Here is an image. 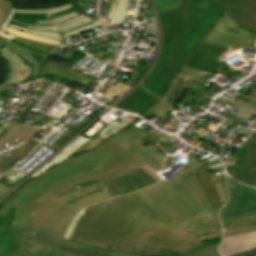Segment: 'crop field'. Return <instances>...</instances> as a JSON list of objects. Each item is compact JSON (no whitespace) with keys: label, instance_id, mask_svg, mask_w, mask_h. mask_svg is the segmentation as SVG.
Masks as SVG:
<instances>
[{"label":"crop field","instance_id":"1","mask_svg":"<svg viewBox=\"0 0 256 256\" xmlns=\"http://www.w3.org/2000/svg\"><path fill=\"white\" fill-rule=\"evenodd\" d=\"M119 145L110 138L95 150L73 157L24 184L4 204L0 215L13 206L16 210L11 225L32 230L35 210L48 195L57 198L76 185L95 180L103 183L145 166Z\"/></svg>","mask_w":256,"mask_h":256},{"label":"crop field","instance_id":"2","mask_svg":"<svg viewBox=\"0 0 256 256\" xmlns=\"http://www.w3.org/2000/svg\"><path fill=\"white\" fill-rule=\"evenodd\" d=\"M161 220L136 193L90 207L77 223L71 241L123 254H133L142 230Z\"/></svg>","mask_w":256,"mask_h":256},{"label":"crop field","instance_id":"3","mask_svg":"<svg viewBox=\"0 0 256 256\" xmlns=\"http://www.w3.org/2000/svg\"><path fill=\"white\" fill-rule=\"evenodd\" d=\"M220 208L147 227L140 234L134 254L172 256L204 245L201 241L222 237Z\"/></svg>","mask_w":256,"mask_h":256},{"label":"crop field","instance_id":"4","mask_svg":"<svg viewBox=\"0 0 256 256\" xmlns=\"http://www.w3.org/2000/svg\"><path fill=\"white\" fill-rule=\"evenodd\" d=\"M181 171L169 183L164 180L137 191L162 221L212 209L195 178L196 169L189 165Z\"/></svg>","mask_w":256,"mask_h":256},{"label":"crop field","instance_id":"5","mask_svg":"<svg viewBox=\"0 0 256 256\" xmlns=\"http://www.w3.org/2000/svg\"><path fill=\"white\" fill-rule=\"evenodd\" d=\"M157 14L163 32L161 53L155 69L142 84L160 98L177 71L201 41L183 31V22L177 9Z\"/></svg>","mask_w":256,"mask_h":256},{"label":"crop field","instance_id":"6","mask_svg":"<svg viewBox=\"0 0 256 256\" xmlns=\"http://www.w3.org/2000/svg\"><path fill=\"white\" fill-rule=\"evenodd\" d=\"M237 25L223 12V15L216 21L184 66L211 74H214L216 69L231 73L240 72L238 69H232L227 64L221 63L216 58L233 48L256 51V49L250 48L254 39L241 37L242 34L239 33L225 32L226 27Z\"/></svg>","mask_w":256,"mask_h":256},{"label":"crop field","instance_id":"7","mask_svg":"<svg viewBox=\"0 0 256 256\" xmlns=\"http://www.w3.org/2000/svg\"><path fill=\"white\" fill-rule=\"evenodd\" d=\"M71 7L72 5L68 4L63 7L49 10H15L12 8L8 18L3 22L0 29L4 30V28L8 26L20 31L36 34L46 38L56 39L58 41H63L67 36L99 26L98 21H94L84 15H79L77 12H73L63 17L54 18L47 22H36V25L21 24L17 21L11 20L14 13H47V18H49V15H52L58 11L67 10Z\"/></svg>","mask_w":256,"mask_h":256},{"label":"crop field","instance_id":"8","mask_svg":"<svg viewBox=\"0 0 256 256\" xmlns=\"http://www.w3.org/2000/svg\"><path fill=\"white\" fill-rule=\"evenodd\" d=\"M229 200L220 213L223 229L256 223V190L239 184L226 176Z\"/></svg>","mask_w":256,"mask_h":256},{"label":"crop field","instance_id":"9","mask_svg":"<svg viewBox=\"0 0 256 256\" xmlns=\"http://www.w3.org/2000/svg\"><path fill=\"white\" fill-rule=\"evenodd\" d=\"M80 209L73 204L67 206L50 195L40 204L35 213L33 230L62 238L72 217Z\"/></svg>","mask_w":256,"mask_h":256},{"label":"crop field","instance_id":"10","mask_svg":"<svg viewBox=\"0 0 256 256\" xmlns=\"http://www.w3.org/2000/svg\"><path fill=\"white\" fill-rule=\"evenodd\" d=\"M33 54L35 53L12 43L1 50L0 56L7 61L8 70L6 78L0 87L10 83H22L29 75L36 76L38 73V62L35 56H32ZM39 56L47 57V55L43 54Z\"/></svg>","mask_w":256,"mask_h":256},{"label":"crop field","instance_id":"11","mask_svg":"<svg viewBox=\"0 0 256 256\" xmlns=\"http://www.w3.org/2000/svg\"><path fill=\"white\" fill-rule=\"evenodd\" d=\"M136 117H133L135 119ZM131 120V121H132ZM126 120L114 119L110 124H108L103 130H101L95 137L91 140L79 136L77 137L71 144H69L65 149H63L55 158L51 159L45 166H43L39 171H37L34 176L39 175L40 173L50 169L60 161L66 159L69 156L78 154L87 149H92L106 138H108L111 134H113L116 130L120 129L125 124L131 122Z\"/></svg>","mask_w":256,"mask_h":256},{"label":"crop field","instance_id":"12","mask_svg":"<svg viewBox=\"0 0 256 256\" xmlns=\"http://www.w3.org/2000/svg\"><path fill=\"white\" fill-rule=\"evenodd\" d=\"M14 210L0 216V254L19 256L34 231L10 226Z\"/></svg>","mask_w":256,"mask_h":256},{"label":"crop field","instance_id":"13","mask_svg":"<svg viewBox=\"0 0 256 256\" xmlns=\"http://www.w3.org/2000/svg\"><path fill=\"white\" fill-rule=\"evenodd\" d=\"M210 7L204 18L203 24L200 26L196 33H192L201 23L203 10H193L187 5L178 6V11L184 22V31L193 35L197 39L201 40L204 38L206 33L210 30L214 22L222 15L221 10L215 5L213 0H208Z\"/></svg>","mask_w":256,"mask_h":256},{"label":"crop field","instance_id":"14","mask_svg":"<svg viewBox=\"0 0 256 256\" xmlns=\"http://www.w3.org/2000/svg\"><path fill=\"white\" fill-rule=\"evenodd\" d=\"M159 179L162 178L146 166L130 174L103 183V185L112 197H115L158 182L160 181Z\"/></svg>","mask_w":256,"mask_h":256},{"label":"crop field","instance_id":"15","mask_svg":"<svg viewBox=\"0 0 256 256\" xmlns=\"http://www.w3.org/2000/svg\"><path fill=\"white\" fill-rule=\"evenodd\" d=\"M140 120L141 119H138L135 122L131 123L130 125H128L124 129L119 131L117 134H115L111 138H113L114 140H116L118 143L121 144L119 147L132 153L134 156H136L138 159L144 162L151 169H153L154 171H157L161 169L163 166L127 141L131 139L144 137L147 135L146 132L149 131L151 128H153L149 125L142 130L139 127L138 128L134 127L133 125L139 122Z\"/></svg>","mask_w":256,"mask_h":256},{"label":"crop field","instance_id":"16","mask_svg":"<svg viewBox=\"0 0 256 256\" xmlns=\"http://www.w3.org/2000/svg\"><path fill=\"white\" fill-rule=\"evenodd\" d=\"M32 240L40 241L45 244L52 245L54 247H58L61 249H65L71 252H75L81 255L85 256H142L140 255H122V254H117V253H111V252H106L86 246H82L79 244H76L71 241H67L64 239H60L48 234L40 233L35 231L33 237L31 238Z\"/></svg>","mask_w":256,"mask_h":256},{"label":"crop field","instance_id":"17","mask_svg":"<svg viewBox=\"0 0 256 256\" xmlns=\"http://www.w3.org/2000/svg\"><path fill=\"white\" fill-rule=\"evenodd\" d=\"M158 100L157 97L144 90L141 84L132 91L125 99L118 103L116 108L123 109L141 115L145 110ZM129 108V109H128Z\"/></svg>","mask_w":256,"mask_h":256},{"label":"crop field","instance_id":"18","mask_svg":"<svg viewBox=\"0 0 256 256\" xmlns=\"http://www.w3.org/2000/svg\"><path fill=\"white\" fill-rule=\"evenodd\" d=\"M206 75V73L183 66L160 99L166 102L180 84L190 89L196 88Z\"/></svg>","mask_w":256,"mask_h":256},{"label":"crop field","instance_id":"19","mask_svg":"<svg viewBox=\"0 0 256 256\" xmlns=\"http://www.w3.org/2000/svg\"><path fill=\"white\" fill-rule=\"evenodd\" d=\"M255 246L256 231L243 235L223 238L219 246V252L222 256H229L232 254L246 251Z\"/></svg>","mask_w":256,"mask_h":256},{"label":"crop field","instance_id":"20","mask_svg":"<svg viewBox=\"0 0 256 256\" xmlns=\"http://www.w3.org/2000/svg\"><path fill=\"white\" fill-rule=\"evenodd\" d=\"M168 137L166 134H162V136L157 139L150 134L144 138L131 140L130 142L137 146L139 149L144 151L146 154L154 158L160 164L164 165L165 155L167 150L162 148L161 146L168 141ZM153 149H156L155 151Z\"/></svg>","mask_w":256,"mask_h":256},{"label":"crop field","instance_id":"21","mask_svg":"<svg viewBox=\"0 0 256 256\" xmlns=\"http://www.w3.org/2000/svg\"><path fill=\"white\" fill-rule=\"evenodd\" d=\"M38 130V128L25 125H14L0 138V146H3L17 138L26 143Z\"/></svg>","mask_w":256,"mask_h":256},{"label":"crop field","instance_id":"22","mask_svg":"<svg viewBox=\"0 0 256 256\" xmlns=\"http://www.w3.org/2000/svg\"><path fill=\"white\" fill-rule=\"evenodd\" d=\"M231 177L256 187V153L234 172Z\"/></svg>","mask_w":256,"mask_h":256},{"label":"crop field","instance_id":"23","mask_svg":"<svg viewBox=\"0 0 256 256\" xmlns=\"http://www.w3.org/2000/svg\"><path fill=\"white\" fill-rule=\"evenodd\" d=\"M197 172H198V175L196 178L200 182L207 198L209 199V201L211 202V204L213 205L214 208L219 206L220 203L218 200V195L216 193L214 184H213L208 172L206 171L204 166L197 169Z\"/></svg>","mask_w":256,"mask_h":256},{"label":"crop field","instance_id":"24","mask_svg":"<svg viewBox=\"0 0 256 256\" xmlns=\"http://www.w3.org/2000/svg\"><path fill=\"white\" fill-rule=\"evenodd\" d=\"M256 152V135L252 134L242 146L235 152V154L243 157L244 159L235 165L231 170L228 171L231 175L236 171L242 164H244L254 153Z\"/></svg>","mask_w":256,"mask_h":256},{"label":"crop field","instance_id":"25","mask_svg":"<svg viewBox=\"0 0 256 256\" xmlns=\"http://www.w3.org/2000/svg\"><path fill=\"white\" fill-rule=\"evenodd\" d=\"M128 0H112V7L109 11L107 18H110V22L104 24V26L115 25L123 23L127 10Z\"/></svg>","mask_w":256,"mask_h":256},{"label":"crop field","instance_id":"26","mask_svg":"<svg viewBox=\"0 0 256 256\" xmlns=\"http://www.w3.org/2000/svg\"><path fill=\"white\" fill-rule=\"evenodd\" d=\"M37 142L32 141L31 139L23 146V148L19 149L15 154L3 159L0 161V169L7 171L12 168L14 165L11 163L16 159L22 160L24 159L37 145Z\"/></svg>","mask_w":256,"mask_h":256},{"label":"crop field","instance_id":"27","mask_svg":"<svg viewBox=\"0 0 256 256\" xmlns=\"http://www.w3.org/2000/svg\"><path fill=\"white\" fill-rule=\"evenodd\" d=\"M103 189H105V188L103 187L102 184L96 183V184L88 185V186L81 187V188L75 189L73 191H70L57 199H59L60 201H62L63 203L66 204L68 202L77 200L83 196H86L92 192L103 190Z\"/></svg>","mask_w":256,"mask_h":256},{"label":"crop field","instance_id":"28","mask_svg":"<svg viewBox=\"0 0 256 256\" xmlns=\"http://www.w3.org/2000/svg\"><path fill=\"white\" fill-rule=\"evenodd\" d=\"M246 1L247 0H218L222 9H224L235 20L245 18L244 4Z\"/></svg>","mask_w":256,"mask_h":256},{"label":"crop field","instance_id":"29","mask_svg":"<svg viewBox=\"0 0 256 256\" xmlns=\"http://www.w3.org/2000/svg\"><path fill=\"white\" fill-rule=\"evenodd\" d=\"M245 14L247 18L238 22L256 33V0H248L245 5Z\"/></svg>","mask_w":256,"mask_h":256},{"label":"crop field","instance_id":"30","mask_svg":"<svg viewBox=\"0 0 256 256\" xmlns=\"http://www.w3.org/2000/svg\"><path fill=\"white\" fill-rule=\"evenodd\" d=\"M110 194L108 193L107 190H103V191H99V192H95L92 193L86 197H83L75 202H73L74 204L80 206V207H88L96 202L105 200L107 198H110ZM70 204V203H69ZM68 205V204H67Z\"/></svg>","mask_w":256,"mask_h":256},{"label":"crop field","instance_id":"31","mask_svg":"<svg viewBox=\"0 0 256 256\" xmlns=\"http://www.w3.org/2000/svg\"><path fill=\"white\" fill-rule=\"evenodd\" d=\"M248 105L249 103L238 100V102L232 107V109L236 110L234 114L253 121L254 119H252L251 117L253 116L252 114L256 111V108L250 107Z\"/></svg>","mask_w":256,"mask_h":256},{"label":"crop field","instance_id":"32","mask_svg":"<svg viewBox=\"0 0 256 256\" xmlns=\"http://www.w3.org/2000/svg\"><path fill=\"white\" fill-rule=\"evenodd\" d=\"M14 41L40 52L50 54L56 47L15 37Z\"/></svg>","mask_w":256,"mask_h":256},{"label":"crop field","instance_id":"33","mask_svg":"<svg viewBox=\"0 0 256 256\" xmlns=\"http://www.w3.org/2000/svg\"><path fill=\"white\" fill-rule=\"evenodd\" d=\"M217 245L216 244H209V245H204L202 247H198L196 249L178 254L176 256H201V255H205L211 252H216L217 251Z\"/></svg>","mask_w":256,"mask_h":256},{"label":"crop field","instance_id":"34","mask_svg":"<svg viewBox=\"0 0 256 256\" xmlns=\"http://www.w3.org/2000/svg\"><path fill=\"white\" fill-rule=\"evenodd\" d=\"M4 31L15 34V35H18V36L26 37V38H29V39H33V40H36V41L49 43V44H53V45H59L60 43H62V42H58L56 40L46 39V38H43V37H38V36H35V35L20 32V31H17L15 29L8 28V27H6V29Z\"/></svg>","mask_w":256,"mask_h":256},{"label":"crop field","instance_id":"35","mask_svg":"<svg viewBox=\"0 0 256 256\" xmlns=\"http://www.w3.org/2000/svg\"><path fill=\"white\" fill-rule=\"evenodd\" d=\"M43 246V243L29 240L20 256H37Z\"/></svg>","mask_w":256,"mask_h":256},{"label":"crop field","instance_id":"36","mask_svg":"<svg viewBox=\"0 0 256 256\" xmlns=\"http://www.w3.org/2000/svg\"><path fill=\"white\" fill-rule=\"evenodd\" d=\"M156 11H164L175 9L176 6L181 5V0H154Z\"/></svg>","mask_w":256,"mask_h":256},{"label":"crop field","instance_id":"37","mask_svg":"<svg viewBox=\"0 0 256 256\" xmlns=\"http://www.w3.org/2000/svg\"><path fill=\"white\" fill-rule=\"evenodd\" d=\"M129 89L130 87L119 82L115 87L111 85L102 97L112 99L114 95L121 96Z\"/></svg>","mask_w":256,"mask_h":256},{"label":"crop field","instance_id":"38","mask_svg":"<svg viewBox=\"0 0 256 256\" xmlns=\"http://www.w3.org/2000/svg\"><path fill=\"white\" fill-rule=\"evenodd\" d=\"M88 209V208H87ZM87 209H81L72 219L65 235H64V239H70L75 227H76V222L79 220V218L86 212Z\"/></svg>","mask_w":256,"mask_h":256},{"label":"crop field","instance_id":"39","mask_svg":"<svg viewBox=\"0 0 256 256\" xmlns=\"http://www.w3.org/2000/svg\"><path fill=\"white\" fill-rule=\"evenodd\" d=\"M12 2L0 0V26L8 16L11 9Z\"/></svg>","mask_w":256,"mask_h":256},{"label":"crop field","instance_id":"40","mask_svg":"<svg viewBox=\"0 0 256 256\" xmlns=\"http://www.w3.org/2000/svg\"><path fill=\"white\" fill-rule=\"evenodd\" d=\"M256 230V224L251 225L249 227H244V228H238V229H232V230H227L224 231V236H231V235H237V234H242V233H247V232H251V231H255Z\"/></svg>","mask_w":256,"mask_h":256},{"label":"crop field","instance_id":"41","mask_svg":"<svg viewBox=\"0 0 256 256\" xmlns=\"http://www.w3.org/2000/svg\"><path fill=\"white\" fill-rule=\"evenodd\" d=\"M215 188L219 195V200L221 202V205H224L226 202V199H227V192H226L225 184L224 183L215 184Z\"/></svg>","mask_w":256,"mask_h":256},{"label":"crop field","instance_id":"42","mask_svg":"<svg viewBox=\"0 0 256 256\" xmlns=\"http://www.w3.org/2000/svg\"><path fill=\"white\" fill-rule=\"evenodd\" d=\"M226 31L244 33L243 36H245V37L256 38V35L254 33L250 32L249 30H247L241 26L230 27V28H227Z\"/></svg>","mask_w":256,"mask_h":256},{"label":"crop field","instance_id":"43","mask_svg":"<svg viewBox=\"0 0 256 256\" xmlns=\"http://www.w3.org/2000/svg\"><path fill=\"white\" fill-rule=\"evenodd\" d=\"M60 253H62V254H60ZM51 256H78V254L55 248V250L51 254Z\"/></svg>","mask_w":256,"mask_h":256},{"label":"crop field","instance_id":"44","mask_svg":"<svg viewBox=\"0 0 256 256\" xmlns=\"http://www.w3.org/2000/svg\"><path fill=\"white\" fill-rule=\"evenodd\" d=\"M54 250V247H51L49 245H45V247L40 252L39 256H49L52 251Z\"/></svg>","mask_w":256,"mask_h":256},{"label":"crop field","instance_id":"45","mask_svg":"<svg viewBox=\"0 0 256 256\" xmlns=\"http://www.w3.org/2000/svg\"><path fill=\"white\" fill-rule=\"evenodd\" d=\"M193 159L188 161L190 165H192L193 167H195L196 169L205 165L203 164L201 161H199L197 158L192 157Z\"/></svg>","mask_w":256,"mask_h":256},{"label":"crop field","instance_id":"46","mask_svg":"<svg viewBox=\"0 0 256 256\" xmlns=\"http://www.w3.org/2000/svg\"><path fill=\"white\" fill-rule=\"evenodd\" d=\"M245 98L251 100V101H255L256 102V89H252L246 96Z\"/></svg>","mask_w":256,"mask_h":256},{"label":"crop field","instance_id":"47","mask_svg":"<svg viewBox=\"0 0 256 256\" xmlns=\"http://www.w3.org/2000/svg\"><path fill=\"white\" fill-rule=\"evenodd\" d=\"M253 254H256V247L251 249V250H248L246 252L239 253V254L232 255V256H250V255H253Z\"/></svg>","mask_w":256,"mask_h":256},{"label":"crop field","instance_id":"48","mask_svg":"<svg viewBox=\"0 0 256 256\" xmlns=\"http://www.w3.org/2000/svg\"><path fill=\"white\" fill-rule=\"evenodd\" d=\"M187 128V127H186ZM189 129V128H188ZM190 130H192V129H190ZM192 131H194V132H196L197 133V135H199L200 137H205V136H207L208 134H209V132H207L206 130H204V129H202V128H200V129H198L197 131H195V130H192Z\"/></svg>","mask_w":256,"mask_h":256},{"label":"crop field","instance_id":"49","mask_svg":"<svg viewBox=\"0 0 256 256\" xmlns=\"http://www.w3.org/2000/svg\"><path fill=\"white\" fill-rule=\"evenodd\" d=\"M215 102H218V103H220V104H222V105H224V106L229 103V101L224 100V99H222V98H220V97H218V98L215 100Z\"/></svg>","mask_w":256,"mask_h":256},{"label":"crop field","instance_id":"50","mask_svg":"<svg viewBox=\"0 0 256 256\" xmlns=\"http://www.w3.org/2000/svg\"><path fill=\"white\" fill-rule=\"evenodd\" d=\"M207 83H208L207 81L203 80V81L201 82V84H200L197 88H199V89H201V90L204 91L205 88L207 87V86H205Z\"/></svg>","mask_w":256,"mask_h":256},{"label":"crop field","instance_id":"51","mask_svg":"<svg viewBox=\"0 0 256 256\" xmlns=\"http://www.w3.org/2000/svg\"><path fill=\"white\" fill-rule=\"evenodd\" d=\"M0 36L5 37V38H8V39H10V40H12V38H13V36L8 35V34H5V33H3V32H0Z\"/></svg>","mask_w":256,"mask_h":256},{"label":"crop field","instance_id":"52","mask_svg":"<svg viewBox=\"0 0 256 256\" xmlns=\"http://www.w3.org/2000/svg\"><path fill=\"white\" fill-rule=\"evenodd\" d=\"M0 42L3 43L4 45H6L7 43L10 42V40L0 37Z\"/></svg>","mask_w":256,"mask_h":256},{"label":"crop field","instance_id":"53","mask_svg":"<svg viewBox=\"0 0 256 256\" xmlns=\"http://www.w3.org/2000/svg\"><path fill=\"white\" fill-rule=\"evenodd\" d=\"M205 256H220V255L218 254V252H216V253H211V254H208V255H205Z\"/></svg>","mask_w":256,"mask_h":256},{"label":"crop field","instance_id":"54","mask_svg":"<svg viewBox=\"0 0 256 256\" xmlns=\"http://www.w3.org/2000/svg\"><path fill=\"white\" fill-rule=\"evenodd\" d=\"M245 101H247V102L251 103V104H250V106H254V107H256V103H255V102H251V101H248V100H246V99H245Z\"/></svg>","mask_w":256,"mask_h":256},{"label":"crop field","instance_id":"55","mask_svg":"<svg viewBox=\"0 0 256 256\" xmlns=\"http://www.w3.org/2000/svg\"><path fill=\"white\" fill-rule=\"evenodd\" d=\"M5 126H7V125H2V126L0 127V133L3 132V129H4Z\"/></svg>","mask_w":256,"mask_h":256},{"label":"crop field","instance_id":"56","mask_svg":"<svg viewBox=\"0 0 256 256\" xmlns=\"http://www.w3.org/2000/svg\"><path fill=\"white\" fill-rule=\"evenodd\" d=\"M170 164H172V162H170L169 160H167L165 167L168 166V165H170Z\"/></svg>","mask_w":256,"mask_h":256},{"label":"crop field","instance_id":"57","mask_svg":"<svg viewBox=\"0 0 256 256\" xmlns=\"http://www.w3.org/2000/svg\"><path fill=\"white\" fill-rule=\"evenodd\" d=\"M190 6V5H189ZM192 7V6H191ZM192 8H194V7H192ZM194 9H205V8H194Z\"/></svg>","mask_w":256,"mask_h":256},{"label":"crop field","instance_id":"58","mask_svg":"<svg viewBox=\"0 0 256 256\" xmlns=\"http://www.w3.org/2000/svg\"><path fill=\"white\" fill-rule=\"evenodd\" d=\"M248 57H250V58H254V57H252V56H248Z\"/></svg>","mask_w":256,"mask_h":256},{"label":"crop field","instance_id":"59","mask_svg":"<svg viewBox=\"0 0 256 256\" xmlns=\"http://www.w3.org/2000/svg\"><path fill=\"white\" fill-rule=\"evenodd\" d=\"M209 5L207 6V9H208ZM207 11V10H206Z\"/></svg>","mask_w":256,"mask_h":256},{"label":"crop field","instance_id":"60","mask_svg":"<svg viewBox=\"0 0 256 256\" xmlns=\"http://www.w3.org/2000/svg\"><path fill=\"white\" fill-rule=\"evenodd\" d=\"M0 256H5V255H0Z\"/></svg>","mask_w":256,"mask_h":256},{"label":"crop field","instance_id":"61","mask_svg":"<svg viewBox=\"0 0 256 256\" xmlns=\"http://www.w3.org/2000/svg\"><path fill=\"white\" fill-rule=\"evenodd\" d=\"M253 256H256V255H253Z\"/></svg>","mask_w":256,"mask_h":256},{"label":"crop field","instance_id":"62","mask_svg":"<svg viewBox=\"0 0 256 256\" xmlns=\"http://www.w3.org/2000/svg\"><path fill=\"white\" fill-rule=\"evenodd\" d=\"M195 31H197V30H195ZM195 31H194V32H195Z\"/></svg>","mask_w":256,"mask_h":256},{"label":"crop field","instance_id":"63","mask_svg":"<svg viewBox=\"0 0 256 256\" xmlns=\"http://www.w3.org/2000/svg\"><path fill=\"white\" fill-rule=\"evenodd\" d=\"M79 256H81V255H79Z\"/></svg>","mask_w":256,"mask_h":256}]
</instances>
